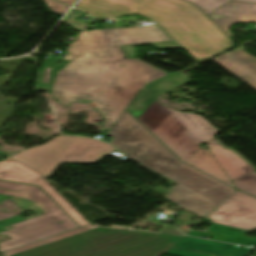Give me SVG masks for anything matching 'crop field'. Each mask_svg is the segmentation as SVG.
<instances>
[{"label":"crop field","instance_id":"8a807250","mask_svg":"<svg viewBox=\"0 0 256 256\" xmlns=\"http://www.w3.org/2000/svg\"><path fill=\"white\" fill-rule=\"evenodd\" d=\"M67 48L76 56L57 72L51 92L62 105L92 101L109 130L146 83L168 74L138 60H124L120 45L165 42L157 26L81 32Z\"/></svg>","mask_w":256,"mask_h":256},{"label":"crop field","instance_id":"ac0d7876","mask_svg":"<svg viewBox=\"0 0 256 256\" xmlns=\"http://www.w3.org/2000/svg\"><path fill=\"white\" fill-rule=\"evenodd\" d=\"M76 7L98 18L131 13L148 16L197 61L232 47L211 20L183 0H82Z\"/></svg>","mask_w":256,"mask_h":256},{"label":"crop field","instance_id":"34b2d1b8","mask_svg":"<svg viewBox=\"0 0 256 256\" xmlns=\"http://www.w3.org/2000/svg\"><path fill=\"white\" fill-rule=\"evenodd\" d=\"M180 239L98 228L14 256H161Z\"/></svg>","mask_w":256,"mask_h":256},{"label":"crop field","instance_id":"412701ff","mask_svg":"<svg viewBox=\"0 0 256 256\" xmlns=\"http://www.w3.org/2000/svg\"><path fill=\"white\" fill-rule=\"evenodd\" d=\"M0 188L17 190L8 191L0 189V201L11 198L14 203L21 208L43 203L46 206L37 209V217L26 220L20 216L0 221V234H6L12 239L0 243V252H4L40 239H44L74 228L76 224L69 219L61 209L38 187L0 182ZM58 221L64 222L62 224ZM12 225L13 230L3 229L5 226Z\"/></svg>","mask_w":256,"mask_h":256},{"label":"crop field","instance_id":"f4fd0767","mask_svg":"<svg viewBox=\"0 0 256 256\" xmlns=\"http://www.w3.org/2000/svg\"><path fill=\"white\" fill-rule=\"evenodd\" d=\"M184 162L219 132L202 116L171 110L154 100L137 118Z\"/></svg>","mask_w":256,"mask_h":256},{"label":"crop field","instance_id":"dd49c442","mask_svg":"<svg viewBox=\"0 0 256 256\" xmlns=\"http://www.w3.org/2000/svg\"><path fill=\"white\" fill-rule=\"evenodd\" d=\"M114 151L115 147L95 139L57 136L10 158L48 178L59 163H93Z\"/></svg>","mask_w":256,"mask_h":256},{"label":"crop field","instance_id":"e52e79f7","mask_svg":"<svg viewBox=\"0 0 256 256\" xmlns=\"http://www.w3.org/2000/svg\"><path fill=\"white\" fill-rule=\"evenodd\" d=\"M106 136L114 138L110 144L122 153L165 177L184 164L126 112Z\"/></svg>","mask_w":256,"mask_h":256},{"label":"crop field","instance_id":"d8731c3e","mask_svg":"<svg viewBox=\"0 0 256 256\" xmlns=\"http://www.w3.org/2000/svg\"><path fill=\"white\" fill-rule=\"evenodd\" d=\"M168 178L179 184L166 197L201 219L236 191L185 164Z\"/></svg>","mask_w":256,"mask_h":256},{"label":"crop field","instance_id":"5a996713","mask_svg":"<svg viewBox=\"0 0 256 256\" xmlns=\"http://www.w3.org/2000/svg\"><path fill=\"white\" fill-rule=\"evenodd\" d=\"M207 218L223 225L253 229L256 227V199L237 191Z\"/></svg>","mask_w":256,"mask_h":256},{"label":"crop field","instance_id":"3316defc","mask_svg":"<svg viewBox=\"0 0 256 256\" xmlns=\"http://www.w3.org/2000/svg\"><path fill=\"white\" fill-rule=\"evenodd\" d=\"M186 81V75L177 71L171 75L150 82L138 94L127 110L137 118L156 96Z\"/></svg>","mask_w":256,"mask_h":256},{"label":"crop field","instance_id":"28ad6ade","mask_svg":"<svg viewBox=\"0 0 256 256\" xmlns=\"http://www.w3.org/2000/svg\"><path fill=\"white\" fill-rule=\"evenodd\" d=\"M208 16L224 32L232 36L228 30L232 25L256 22V4L229 2Z\"/></svg>","mask_w":256,"mask_h":256},{"label":"crop field","instance_id":"d1516ede","mask_svg":"<svg viewBox=\"0 0 256 256\" xmlns=\"http://www.w3.org/2000/svg\"><path fill=\"white\" fill-rule=\"evenodd\" d=\"M213 60L256 89L255 57L235 49Z\"/></svg>","mask_w":256,"mask_h":256},{"label":"crop field","instance_id":"22f410ed","mask_svg":"<svg viewBox=\"0 0 256 256\" xmlns=\"http://www.w3.org/2000/svg\"><path fill=\"white\" fill-rule=\"evenodd\" d=\"M210 151L222 166L230 181L254 171V168L235 153L217 144L213 138L207 143Z\"/></svg>","mask_w":256,"mask_h":256},{"label":"crop field","instance_id":"cbeb9de0","mask_svg":"<svg viewBox=\"0 0 256 256\" xmlns=\"http://www.w3.org/2000/svg\"><path fill=\"white\" fill-rule=\"evenodd\" d=\"M174 246L221 256H245L252 250L251 248L243 246L195 239L186 236Z\"/></svg>","mask_w":256,"mask_h":256},{"label":"crop field","instance_id":"5142ce71","mask_svg":"<svg viewBox=\"0 0 256 256\" xmlns=\"http://www.w3.org/2000/svg\"><path fill=\"white\" fill-rule=\"evenodd\" d=\"M211 234L207 232H195L191 231L187 235L200 237L202 235L210 236L211 239L236 243L240 245L256 247V239H249L242 234V231L249 232L247 230L237 229L233 227L223 226L212 223L208 228Z\"/></svg>","mask_w":256,"mask_h":256},{"label":"crop field","instance_id":"d9b57169","mask_svg":"<svg viewBox=\"0 0 256 256\" xmlns=\"http://www.w3.org/2000/svg\"><path fill=\"white\" fill-rule=\"evenodd\" d=\"M185 163L219 179L220 181L232 186L233 184L229 181L225 172L218 164L216 159L210 153V151L200 149L191 158H189Z\"/></svg>","mask_w":256,"mask_h":256},{"label":"crop field","instance_id":"733c2abd","mask_svg":"<svg viewBox=\"0 0 256 256\" xmlns=\"http://www.w3.org/2000/svg\"><path fill=\"white\" fill-rule=\"evenodd\" d=\"M40 176L17 162L3 161L0 163V180L30 184Z\"/></svg>","mask_w":256,"mask_h":256},{"label":"crop field","instance_id":"4a817a6b","mask_svg":"<svg viewBox=\"0 0 256 256\" xmlns=\"http://www.w3.org/2000/svg\"><path fill=\"white\" fill-rule=\"evenodd\" d=\"M98 227H101V226H98V225L91 226L90 224H88V225L82 226L80 228H77V229H74V230H71V231H68V232H65V233H62V234H59V235L41 240V241H37V242L31 243V244H28V245H25V246H22V247L4 252L6 254H3L1 256H11L13 254H16V253H19V252H22V251H26V250H29V249H32V248H35V247H38V246H42V245H45V244H48V243H51V242H55V241H58V240H61V239H64V238H67V237H70V236H73V235H76V234H79V233H83V232H86V231H89V230H92V229H95V228H98ZM109 228L124 230L127 227H120V226L112 225Z\"/></svg>","mask_w":256,"mask_h":256},{"label":"crop field","instance_id":"bc2a9ffb","mask_svg":"<svg viewBox=\"0 0 256 256\" xmlns=\"http://www.w3.org/2000/svg\"><path fill=\"white\" fill-rule=\"evenodd\" d=\"M32 185H39L61 208H63L80 226L88 224L71 205L62 198L42 177Z\"/></svg>","mask_w":256,"mask_h":256},{"label":"crop field","instance_id":"214f88e0","mask_svg":"<svg viewBox=\"0 0 256 256\" xmlns=\"http://www.w3.org/2000/svg\"><path fill=\"white\" fill-rule=\"evenodd\" d=\"M75 55L68 54L61 64H58L59 58L48 56L42 63L38 83H53L57 70L62 69Z\"/></svg>","mask_w":256,"mask_h":256},{"label":"crop field","instance_id":"92a150f3","mask_svg":"<svg viewBox=\"0 0 256 256\" xmlns=\"http://www.w3.org/2000/svg\"><path fill=\"white\" fill-rule=\"evenodd\" d=\"M237 190L256 197V172L232 181Z\"/></svg>","mask_w":256,"mask_h":256},{"label":"crop field","instance_id":"dafd665d","mask_svg":"<svg viewBox=\"0 0 256 256\" xmlns=\"http://www.w3.org/2000/svg\"><path fill=\"white\" fill-rule=\"evenodd\" d=\"M188 1L200 7L202 11L207 14L229 0H188ZM234 1L256 2V0H234Z\"/></svg>","mask_w":256,"mask_h":256},{"label":"crop field","instance_id":"00972430","mask_svg":"<svg viewBox=\"0 0 256 256\" xmlns=\"http://www.w3.org/2000/svg\"><path fill=\"white\" fill-rule=\"evenodd\" d=\"M85 13L76 10V9H72V11L68 14V16L65 18V20L63 22L67 23L68 25H70L71 27H73L74 29L80 31L88 26L80 23V22H76V20H74L75 18L83 15Z\"/></svg>","mask_w":256,"mask_h":256},{"label":"crop field","instance_id":"a9b5d70f","mask_svg":"<svg viewBox=\"0 0 256 256\" xmlns=\"http://www.w3.org/2000/svg\"><path fill=\"white\" fill-rule=\"evenodd\" d=\"M43 1L48 6L50 12H53L56 14L62 15L68 9V7H66L58 2H55L53 0H43Z\"/></svg>","mask_w":256,"mask_h":256},{"label":"crop field","instance_id":"4177f3b9","mask_svg":"<svg viewBox=\"0 0 256 256\" xmlns=\"http://www.w3.org/2000/svg\"><path fill=\"white\" fill-rule=\"evenodd\" d=\"M166 255H171V256H213V255L202 254V253L186 251V250H181V249H175V248H172L169 252L166 253Z\"/></svg>","mask_w":256,"mask_h":256},{"label":"crop field","instance_id":"730fd06b","mask_svg":"<svg viewBox=\"0 0 256 256\" xmlns=\"http://www.w3.org/2000/svg\"><path fill=\"white\" fill-rule=\"evenodd\" d=\"M53 84H38L36 90L50 91Z\"/></svg>","mask_w":256,"mask_h":256},{"label":"crop field","instance_id":"eef30255","mask_svg":"<svg viewBox=\"0 0 256 256\" xmlns=\"http://www.w3.org/2000/svg\"><path fill=\"white\" fill-rule=\"evenodd\" d=\"M59 1L71 6L76 0H59Z\"/></svg>","mask_w":256,"mask_h":256}]
</instances>
